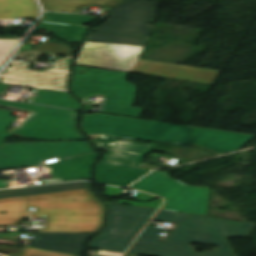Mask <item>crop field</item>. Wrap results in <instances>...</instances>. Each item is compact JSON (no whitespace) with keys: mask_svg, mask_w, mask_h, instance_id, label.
Masks as SVG:
<instances>
[{"mask_svg":"<svg viewBox=\"0 0 256 256\" xmlns=\"http://www.w3.org/2000/svg\"><path fill=\"white\" fill-rule=\"evenodd\" d=\"M127 74L74 66L71 91L79 98L93 92L102 93L107 96L108 101L101 112L138 118L142 109L131 107L136 86L125 81Z\"/></svg>","mask_w":256,"mask_h":256,"instance_id":"3","label":"crop field"},{"mask_svg":"<svg viewBox=\"0 0 256 256\" xmlns=\"http://www.w3.org/2000/svg\"><path fill=\"white\" fill-rule=\"evenodd\" d=\"M0 38H1V36H0Z\"/></svg>","mask_w":256,"mask_h":256,"instance_id":"18","label":"crop field"},{"mask_svg":"<svg viewBox=\"0 0 256 256\" xmlns=\"http://www.w3.org/2000/svg\"><path fill=\"white\" fill-rule=\"evenodd\" d=\"M0 231H5V228H0Z\"/></svg>","mask_w":256,"mask_h":256,"instance_id":"17","label":"crop field"},{"mask_svg":"<svg viewBox=\"0 0 256 256\" xmlns=\"http://www.w3.org/2000/svg\"><path fill=\"white\" fill-rule=\"evenodd\" d=\"M142 48L85 42L76 64L130 72Z\"/></svg>","mask_w":256,"mask_h":256,"instance_id":"6","label":"crop field"},{"mask_svg":"<svg viewBox=\"0 0 256 256\" xmlns=\"http://www.w3.org/2000/svg\"><path fill=\"white\" fill-rule=\"evenodd\" d=\"M34 89H36L38 94H40V97H42L41 99L34 98L33 102L35 103L49 104L76 109H80L81 107V104L69 93L39 88ZM68 96H71V98H69Z\"/></svg>","mask_w":256,"mask_h":256,"instance_id":"12","label":"crop field"},{"mask_svg":"<svg viewBox=\"0 0 256 256\" xmlns=\"http://www.w3.org/2000/svg\"><path fill=\"white\" fill-rule=\"evenodd\" d=\"M159 3L128 0L110 12V20L95 32L149 36L155 27L154 13Z\"/></svg>","mask_w":256,"mask_h":256,"instance_id":"5","label":"crop field"},{"mask_svg":"<svg viewBox=\"0 0 256 256\" xmlns=\"http://www.w3.org/2000/svg\"><path fill=\"white\" fill-rule=\"evenodd\" d=\"M89 187H90V185L85 182H76V183H68V184H58V185H49V186H40V187L2 190V191H0V198H9V197L26 196V195H34V194H42V193L68 191V190L84 189V188H89Z\"/></svg>","mask_w":256,"mask_h":256,"instance_id":"11","label":"crop field"},{"mask_svg":"<svg viewBox=\"0 0 256 256\" xmlns=\"http://www.w3.org/2000/svg\"><path fill=\"white\" fill-rule=\"evenodd\" d=\"M17 44L18 40H0V67Z\"/></svg>","mask_w":256,"mask_h":256,"instance_id":"15","label":"crop field"},{"mask_svg":"<svg viewBox=\"0 0 256 256\" xmlns=\"http://www.w3.org/2000/svg\"><path fill=\"white\" fill-rule=\"evenodd\" d=\"M139 64H142L141 66ZM132 72L213 84L220 72L138 59ZM172 75V77H170Z\"/></svg>","mask_w":256,"mask_h":256,"instance_id":"7","label":"crop field"},{"mask_svg":"<svg viewBox=\"0 0 256 256\" xmlns=\"http://www.w3.org/2000/svg\"><path fill=\"white\" fill-rule=\"evenodd\" d=\"M123 0H41L45 10L78 13L79 8L87 5L113 7Z\"/></svg>","mask_w":256,"mask_h":256,"instance_id":"10","label":"crop field"},{"mask_svg":"<svg viewBox=\"0 0 256 256\" xmlns=\"http://www.w3.org/2000/svg\"><path fill=\"white\" fill-rule=\"evenodd\" d=\"M37 13L34 0H0V19H36Z\"/></svg>","mask_w":256,"mask_h":256,"instance_id":"9","label":"crop field"},{"mask_svg":"<svg viewBox=\"0 0 256 256\" xmlns=\"http://www.w3.org/2000/svg\"><path fill=\"white\" fill-rule=\"evenodd\" d=\"M35 49L37 50H43L46 52H50V53H54V54H59V55H63V56H70L72 57L71 53H72V48L69 46H65V45H60V44H56V43H41L35 46Z\"/></svg>","mask_w":256,"mask_h":256,"instance_id":"14","label":"crop field"},{"mask_svg":"<svg viewBox=\"0 0 256 256\" xmlns=\"http://www.w3.org/2000/svg\"><path fill=\"white\" fill-rule=\"evenodd\" d=\"M148 38L91 33L88 41L144 46Z\"/></svg>","mask_w":256,"mask_h":256,"instance_id":"13","label":"crop field"},{"mask_svg":"<svg viewBox=\"0 0 256 256\" xmlns=\"http://www.w3.org/2000/svg\"><path fill=\"white\" fill-rule=\"evenodd\" d=\"M109 206L108 227L89 247L124 252L156 210L112 204Z\"/></svg>","mask_w":256,"mask_h":256,"instance_id":"4","label":"crop field"},{"mask_svg":"<svg viewBox=\"0 0 256 256\" xmlns=\"http://www.w3.org/2000/svg\"><path fill=\"white\" fill-rule=\"evenodd\" d=\"M94 234L38 233L32 247L58 252L82 254V250L90 236Z\"/></svg>","mask_w":256,"mask_h":256,"instance_id":"8","label":"crop field"},{"mask_svg":"<svg viewBox=\"0 0 256 256\" xmlns=\"http://www.w3.org/2000/svg\"><path fill=\"white\" fill-rule=\"evenodd\" d=\"M28 207H35L32 218L48 216L38 231L97 232L103 225L104 206L89 189L0 199V225L18 226Z\"/></svg>","mask_w":256,"mask_h":256,"instance_id":"2","label":"crop field"},{"mask_svg":"<svg viewBox=\"0 0 256 256\" xmlns=\"http://www.w3.org/2000/svg\"><path fill=\"white\" fill-rule=\"evenodd\" d=\"M154 221L177 222L166 242L156 241L162 229L146 227L127 251L146 256H235L225 237L248 236L254 224L159 210ZM225 225H229L227 229ZM190 242L221 246L195 254Z\"/></svg>","mask_w":256,"mask_h":256,"instance_id":"1","label":"crop field"},{"mask_svg":"<svg viewBox=\"0 0 256 256\" xmlns=\"http://www.w3.org/2000/svg\"><path fill=\"white\" fill-rule=\"evenodd\" d=\"M21 256H73V255L26 247L22 250Z\"/></svg>","mask_w":256,"mask_h":256,"instance_id":"16","label":"crop field"}]
</instances>
